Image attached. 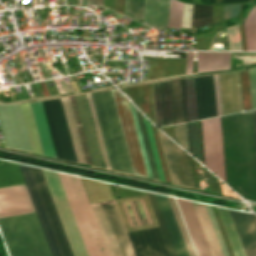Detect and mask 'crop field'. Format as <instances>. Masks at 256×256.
Returning <instances> with one entry per match:
<instances>
[{
  "label": "crop field",
  "mask_w": 256,
  "mask_h": 256,
  "mask_svg": "<svg viewBox=\"0 0 256 256\" xmlns=\"http://www.w3.org/2000/svg\"><path fill=\"white\" fill-rule=\"evenodd\" d=\"M135 113H136V116H137L138 124H139L140 131H141V134H142V138H143V142H144L145 149H146V152H147L150 167H151V170H152L153 178L159 180L158 175H157V171H156V167H155V163H154V159H153V156H152L149 140H148V137H147L143 117L136 109H135Z\"/></svg>",
  "instance_id": "obj_33"
},
{
  "label": "crop field",
  "mask_w": 256,
  "mask_h": 256,
  "mask_svg": "<svg viewBox=\"0 0 256 256\" xmlns=\"http://www.w3.org/2000/svg\"><path fill=\"white\" fill-rule=\"evenodd\" d=\"M85 95H86V98H87V101H88V104H89V107H90V110H91L95 130H96V134H97V139H98V143H99V147H100V151H101V155H102V159H103V163H104V167L108 168V169H111L110 164H109V160H108V157H107L106 149H105V146H104L103 138H102V135H101L100 127H99V124H98L97 116H96V113H95L94 105H93V102H92L91 94L87 93Z\"/></svg>",
  "instance_id": "obj_30"
},
{
  "label": "crop field",
  "mask_w": 256,
  "mask_h": 256,
  "mask_svg": "<svg viewBox=\"0 0 256 256\" xmlns=\"http://www.w3.org/2000/svg\"><path fill=\"white\" fill-rule=\"evenodd\" d=\"M209 245L212 256H223L210 218L204 204L192 202Z\"/></svg>",
  "instance_id": "obj_21"
},
{
  "label": "crop field",
  "mask_w": 256,
  "mask_h": 256,
  "mask_svg": "<svg viewBox=\"0 0 256 256\" xmlns=\"http://www.w3.org/2000/svg\"><path fill=\"white\" fill-rule=\"evenodd\" d=\"M212 6L194 5L192 27L211 23Z\"/></svg>",
  "instance_id": "obj_31"
},
{
  "label": "crop field",
  "mask_w": 256,
  "mask_h": 256,
  "mask_svg": "<svg viewBox=\"0 0 256 256\" xmlns=\"http://www.w3.org/2000/svg\"><path fill=\"white\" fill-rule=\"evenodd\" d=\"M122 204H123V207H124V209H125V212H126V215H127L128 221H129V223H130V226L132 227L133 225H132V222H131V220H130L129 214H128V212H127L126 206H125V204H124V203H122Z\"/></svg>",
  "instance_id": "obj_47"
},
{
  "label": "crop field",
  "mask_w": 256,
  "mask_h": 256,
  "mask_svg": "<svg viewBox=\"0 0 256 256\" xmlns=\"http://www.w3.org/2000/svg\"><path fill=\"white\" fill-rule=\"evenodd\" d=\"M129 203H130V205H131V208H132V210H133V213H134V215H135V218H136V220H137V223H138V225L140 226L139 221H138L137 216H136V213H135V211H134L133 205H132L131 202H129Z\"/></svg>",
  "instance_id": "obj_50"
},
{
  "label": "crop field",
  "mask_w": 256,
  "mask_h": 256,
  "mask_svg": "<svg viewBox=\"0 0 256 256\" xmlns=\"http://www.w3.org/2000/svg\"><path fill=\"white\" fill-rule=\"evenodd\" d=\"M42 102L57 158L77 162L60 98Z\"/></svg>",
  "instance_id": "obj_7"
},
{
  "label": "crop field",
  "mask_w": 256,
  "mask_h": 256,
  "mask_svg": "<svg viewBox=\"0 0 256 256\" xmlns=\"http://www.w3.org/2000/svg\"><path fill=\"white\" fill-rule=\"evenodd\" d=\"M35 212L25 184L0 188V217Z\"/></svg>",
  "instance_id": "obj_11"
},
{
  "label": "crop field",
  "mask_w": 256,
  "mask_h": 256,
  "mask_svg": "<svg viewBox=\"0 0 256 256\" xmlns=\"http://www.w3.org/2000/svg\"><path fill=\"white\" fill-rule=\"evenodd\" d=\"M103 0H86V5H102Z\"/></svg>",
  "instance_id": "obj_46"
},
{
  "label": "crop field",
  "mask_w": 256,
  "mask_h": 256,
  "mask_svg": "<svg viewBox=\"0 0 256 256\" xmlns=\"http://www.w3.org/2000/svg\"><path fill=\"white\" fill-rule=\"evenodd\" d=\"M148 195L161 229L128 234L136 256H188L167 198Z\"/></svg>",
  "instance_id": "obj_2"
},
{
  "label": "crop field",
  "mask_w": 256,
  "mask_h": 256,
  "mask_svg": "<svg viewBox=\"0 0 256 256\" xmlns=\"http://www.w3.org/2000/svg\"><path fill=\"white\" fill-rule=\"evenodd\" d=\"M230 53L222 52L221 70L229 69Z\"/></svg>",
  "instance_id": "obj_43"
},
{
  "label": "crop field",
  "mask_w": 256,
  "mask_h": 256,
  "mask_svg": "<svg viewBox=\"0 0 256 256\" xmlns=\"http://www.w3.org/2000/svg\"><path fill=\"white\" fill-rule=\"evenodd\" d=\"M11 256H51L36 213L0 218Z\"/></svg>",
  "instance_id": "obj_5"
},
{
  "label": "crop field",
  "mask_w": 256,
  "mask_h": 256,
  "mask_svg": "<svg viewBox=\"0 0 256 256\" xmlns=\"http://www.w3.org/2000/svg\"><path fill=\"white\" fill-rule=\"evenodd\" d=\"M110 256H135L114 200L91 204Z\"/></svg>",
  "instance_id": "obj_6"
},
{
  "label": "crop field",
  "mask_w": 256,
  "mask_h": 256,
  "mask_svg": "<svg viewBox=\"0 0 256 256\" xmlns=\"http://www.w3.org/2000/svg\"><path fill=\"white\" fill-rule=\"evenodd\" d=\"M189 153L202 162L198 121L187 123Z\"/></svg>",
  "instance_id": "obj_28"
},
{
  "label": "crop field",
  "mask_w": 256,
  "mask_h": 256,
  "mask_svg": "<svg viewBox=\"0 0 256 256\" xmlns=\"http://www.w3.org/2000/svg\"><path fill=\"white\" fill-rule=\"evenodd\" d=\"M42 170L73 255L109 256L80 178L57 172L88 255L76 227L57 173L49 170Z\"/></svg>",
  "instance_id": "obj_1"
},
{
  "label": "crop field",
  "mask_w": 256,
  "mask_h": 256,
  "mask_svg": "<svg viewBox=\"0 0 256 256\" xmlns=\"http://www.w3.org/2000/svg\"><path fill=\"white\" fill-rule=\"evenodd\" d=\"M248 50H256V6L244 22Z\"/></svg>",
  "instance_id": "obj_29"
},
{
  "label": "crop field",
  "mask_w": 256,
  "mask_h": 256,
  "mask_svg": "<svg viewBox=\"0 0 256 256\" xmlns=\"http://www.w3.org/2000/svg\"><path fill=\"white\" fill-rule=\"evenodd\" d=\"M156 125L173 123L169 80L153 83Z\"/></svg>",
  "instance_id": "obj_16"
},
{
  "label": "crop field",
  "mask_w": 256,
  "mask_h": 256,
  "mask_svg": "<svg viewBox=\"0 0 256 256\" xmlns=\"http://www.w3.org/2000/svg\"><path fill=\"white\" fill-rule=\"evenodd\" d=\"M137 202H138V205H139V207H140L141 213H142V215H143L144 221H145L146 224H148L147 221H146V218H145V216H144V213H143V211H142V208H141V206H140V203H139L138 200H137Z\"/></svg>",
  "instance_id": "obj_48"
},
{
  "label": "crop field",
  "mask_w": 256,
  "mask_h": 256,
  "mask_svg": "<svg viewBox=\"0 0 256 256\" xmlns=\"http://www.w3.org/2000/svg\"><path fill=\"white\" fill-rule=\"evenodd\" d=\"M170 0H146L144 23L153 27H168Z\"/></svg>",
  "instance_id": "obj_18"
},
{
  "label": "crop field",
  "mask_w": 256,
  "mask_h": 256,
  "mask_svg": "<svg viewBox=\"0 0 256 256\" xmlns=\"http://www.w3.org/2000/svg\"><path fill=\"white\" fill-rule=\"evenodd\" d=\"M144 121H145L146 129H147L148 137H149V140H150L153 156H154V159H155L159 179L163 180V181H166L165 176H164V172H163V169H162V165H161V162H160L159 154H158V151H157L156 143H155V140H154V136H153V133H152L151 125L145 118H144Z\"/></svg>",
  "instance_id": "obj_35"
},
{
  "label": "crop field",
  "mask_w": 256,
  "mask_h": 256,
  "mask_svg": "<svg viewBox=\"0 0 256 256\" xmlns=\"http://www.w3.org/2000/svg\"><path fill=\"white\" fill-rule=\"evenodd\" d=\"M145 0H126L125 15L143 23Z\"/></svg>",
  "instance_id": "obj_32"
},
{
  "label": "crop field",
  "mask_w": 256,
  "mask_h": 256,
  "mask_svg": "<svg viewBox=\"0 0 256 256\" xmlns=\"http://www.w3.org/2000/svg\"><path fill=\"white\" fill-rule=\"evenodd\" d=\"M18 165L28 187L52 255L72 256L41 170L25 165ZM37 206L45 226L42 223Z\"/></svg>",
  "instance_id": "obj_3"
},
{
  "label": "crop field",
  "mask_w": 256,
  "mask_h": 256,
  "mask_svg": "<svg viewBox=\"0 0 256 256\" xmlns=\"http://www.w3.org/2000/svg\"><path fill=\"white\" fill-rule=\"evenodd\" d=\"M81 5H85V0H81Z\"/></svg>",
  "instance_id": "obj_53"
},
{
  "label": "crop field",
  "mask_w": 256,
  "mask_h": 256,
  "mask_svg": "<svg viewBox=\"0 0 256 256\" xmlns=\"http://www.w3.org/2000/svg\"><path fill=\"white\" fill-rule=\"evenodd\" d=\"M246 256H256V216L229 210Z\"/></svg>",
  "instance_id": "obj_14"
},
{
  "label": "crop field",
  "mask_w": 256,
  "mask_h": 256,
  "mask_svg": "<svg viewBox=\"0 0 256 256\" xmlns=\"http://www.w3.org/2000/svg\"><path fill=\"white\" fill-rule=\"evenodd\" d=\"M193 52H188L186 74L192 73Z\"/></svg>",
  "instance_id": "obj_44"
},
{
  "label": "crop field",
  "mask_w": 256,
  "mask_h": 256,
  "mask_svg": "<svg viewBox=\"0 0 256 256\" xmlns=\"http://www.w3.org/2000/svg\"><path fill=\"white\" fill-rule=\"evenodd\" d=\"M187 248L189 256H195L173 198L167 197Z\"/></svg>",
  "instance_id": "obj_34"
},
{
  "label": "crop field",
  "mask_w": 256,
  "mask_h": 256,
  "mask_svg": "<svg viewBox=\"0 0 256 256\" xmlns=\"http://www.w3.org/2000/svg\"><path fill=\"white\" fill-rule=\"evenodd\" d=\"M134 202V204H135V207H136V209H137V212H138V214H139V217H140V219H141V216H140V213H139V210H138V207H137V205H136V202L135 201H133ZM141 222H142V224H143V221H142V219H141ZM144 225V224H143Z\"/></svg>",
  "instance_id": "obj_51"
},
{
  "label": "crop field",
  "mask_w": 256,
  "mask_h": 256,
  "mask_svg": "<svg viewBox=\"0 0 256 256\" xmlns=\"http://www.w3.org/2000/svg\"><path fill=\"white\" fill-rule=\"evenodd\" d=\"M176 141L188 151L186 123L174 125Z\"/></svg>",
  "instance_id": "obj_37"
},
{
  "label": "crop field",
  "mask_w": 256,
  "mask_h": 256,
  "mask_svg": "<svg viewBox=\"0 0 256 256\" xmlns=\"http://www.w3.org/2000/svg\"><path fill=\"white\" fill-rule=\"evenodd\" d=\"M197 250L198 256H211L193 205L189 201L177 199Z\"/></svg>",
  "instance_id": "obj_17"
},
{
  "label": "crop field",
  "mask_w": 256,
  "mask_h": 256,
  "mask_svg": "<svg viewBox=\"0 0 256 256\" xmlns=\"http://www.w3.org/2000/svg\"><path fill=\"white\" fill-rule=\"evenodd\" d=\"M91 94L111 168L133 174L112 91L107 90Z\"/></svg>",
  "instance_id": "obj_4"
},
{
  "label": "crop field",
  "mask_w": 256,
  "mask_h": 256,
  "mask_svg": "<svg viewBox=\"0 0 256 256\" xmlns=\"http://www.w3.org/2000/svg\"><path fill=\"white\" fill-rule=\"evenodd\" d=\"M32 151L42 154L39 138L29 103L20 104ZM43 155V154H42Z\"/></svg>",
  "instance_id": "obj_24"
},
{
  "label": "crop field",
  "mask_w": 256,
  "mask_h": 256,
  "mask_svg": "<svg viewBox=\"0 0 256 256\" xmlns=\"http://www.w3.org/2000/svg\"><path fill=\"white\" fill-rule=\"evenodd\" d=\"M229 1H243V0H220V3L221 2H229Z\"/></svg>",
  "instance_id": "obj_52"
},
{
  "label": "crop field",
  "mask_w": 256,
  "mask_h": 256,
  "mask_svg": "<svg viewBox=\"0 0 256 256\" xmlns=\"http://www.w3.org/2000/svg\"><path fill=\"white\" fill-rule=\"evenodd\" d=\"M205 166L226 182L220 117L201 123Z\"/></svg>",
  "instance_id": "obj_9"
},
{
  "label": "crop field",
  "mask_w": 256,
  "mask_h": 256,
  "mask_svg": "<svg viewBox=\"0 0 256 256\" xmlns=\"http://www.w3.org/2000/svg\"><path fill=\"white\" fill-rule=\"evenodd\" d=\"M75 97H76L83 129L85 132L92 164L97 167H102L98 149H97V145H96V141H95V137H94V133H93V129H92V125H91V121H90V117H89V113H88L86 103H85L84 94L77 95Z\"/></svg>",
  "instance_id": "obj_19"
},
{
  "label": "crop field",
  "mask_w": 256,
  "mask_h": 256,
  "mask_svg": "<svg viewBox=\"0 0 256 256\" xmlns=\"http://www.w3.org/2000/svg\"><path fill=\"white\" fill-rule=\"evenodd\" d=\"M65 115L67 118L70 134L72 137L77 161L80 163L91 164L84 132L82 129L75 97H64L61 98Z\"/></svg>",
  "instance_id": "obj_10"
},
{
  "label": "crop field",
  "mask_w": 256,
  "mask_h": 256,
  "mask_svg": "<svg viewBox=\"0 0 256 256\" xmlns=\"http://www.w3.org/2000/svg\"><path fill=\"white\" fill-rule=\"evenodd\" d=\"M243 5L244 4L225 5L223 20L237 16Z\"/></svg>",
  "instance_id": "obj_41"
},
{
  "label": "crop field",
  "mask_w": 256,
  "mask_h": 256,
  "mask_svg": "<svg viewBox=\"0 0 256 256\" xmlns=\"http://www.w3.org/2000/svg\"><path fill=\"white\" fill-rule=\"evenodd\" d=\"M120 118L133 173L147 177L128 101L116 90H112ZM148 178V177H147Z\"/></svg>",
  "instance_id": "obj_8"
},
{
  "label": "crop field",
  "mask_w": 256,
  "mask_h": 256,
  "mask_svg": "<svg viewBox=\"0 0 256 256\" xmlns=\"http://www.w3.org/2000/svg\"><path fill=\"white\" fill-rule=\"evenodd\" d=\"M252 116H253L254 140H255V151H256V110L252 111Z\"/></svg>",
  "instance_id": "obj_45"
},
{
  "label": "crop field",
  "mask_w": 256,
  "mask_h": 256,
  "mask_svg": "<svg viewBox=\"0 0 256 256\" xmlns=\"http://www.w3.org/2000/svg\"><path fill=\"white\" fill-rule=\"evenodd\" d=\"M174 123L186 121L182 79L170 80Z\"/></svg>",
  "instance_id": "obj_22"
},
{
  "label": "crop field",
  "mask_w": 256,
  "mask_h": 256,
  "mask_svg": "<svg viewBox=\"0 0 256 256\" xmlns=\"http://www.w3.org/2000/svg\"><path fill=\"white\" fill-rule=\"evenodd\" d=\"M218 211L220 213L221 219L223 221L224 227L226 229V232L229 237L235 256H245V253L243 251L242 245L240 243L239 237L237 235V232L234 227L229 211L222 208H218Z\"/></svg>",
  "instance_id": "obj_26"
},
{
  "label": "crop field",
  "mask_w": 256,
  "mask_h": 256,
  "mask_svg": "<svg viewBox=\"0 0 256 256\" xmlns=\"http://www.w3.org/2000/svg\"><path fill=\"white\" fill-rule=\"evenodd\" d=\"M183 3L171 0L169 27H181Z\"/></svg>",
  "instance_id": "obj_36"
},
{
  "label": "crop field",
  "mask_w": 256,
  "mask_h": 256,
  "mask_svg": "<svg viewBox=\"0 0 256 256\" xmlns=\"http://www.w3.org/2000/svg\"><path fill=\"white\" fill-rule=\"evenodd\" d=\"M252 109L256 108V69L249 70Z\"/></svg>",
  "instance_id": "obj_39"
},
{
  "label": "crop field",
  "mask_w": 256,
  "mask_h": 256,
  "mask_svg": "<svg viewBox=\"0 0 256 256\" xmlns=\"http://www.w3.org/2000/svg\"><path fill=\"white\" fill-rule=\"evenodd\" d=\"M199 119L216 116L213 75L195 77Z\"/></svg>",
  "instance_id": "obj_15"
},
{
  "label": "crop field",
  "mask_w": 256,
  "mask_h": 256,
  "mask_svg": "<svg viewBox=\"0 0 256 256\" xmlns=\"http://www.w3.org/2000/svg\"><path fill=\"white\" fill-rule=\"evenodd\" d=\"M30 104H31L34 120L36 123L38 135L40 138L43 154L46 156L56 158L54 149H53V145H52V141H51V137H50V133L48 130L42 102L39 101V102H35V103H30Z\"/></svg>",
  "instance_id": "obj_20"
},
{
  "label": "crop field",
  "mask_w": 256,
  "mask_h": 256,
  "mask_svg": "<svg viewBox=\"0 0 256 256\" xmlns=\"http://www.w3.org/2000/svg\"><path fill=\"white\" fill-rule=\"evenodd\" d=\"M193 5L184 3L182 27L191 28Z\"/></svg>",
  "instance_id": "obj_40"
},
{
  "label": "crop field",
  "mask_w": 256,
  "mask_h": 256,
  "mask_svg": "<svg viewBox=\"0 0 256 256\" xmlns=\"http://www.w3.org/2000/svg\"><path fill=\"white\" fill-rule=\"evenodd\" d=\"M187 121L198 119L194 77L183 79Z\"/></svg>",
  "instance_id": "obj_25"
},
{
  "label": "crop field",
  "mask_w": 256,
  "mask_h": 256,
  "mask_svg": "<svg viewBox=\"0 0 256 256\" xmlns=\"http://www.w3.org/2000/svg\"><path fill=\"white\" fill-rule=\"evenodd\" d=\"M0 164V187L23 184L18 165L13 162L2 161Z\"/></svg>",
  "instance_id": "obj_23"
},
{
  "label": "crop field",
  "mask_w": 256,
  "mask_h": 256,
  "mask_svg": "<svg viewBox=\"0 0 256 256\" xmlns=\"http://www.w3.org/2000/svg\"><path fill=\"white\" fill-rule=\"evenodd\" d=\"M160 136L167 158L172 181L174 183L194 187L185 152H183L180 147H178L162 133H160Z\"/></svg>",
  "instance_id": "obj_12"
},
{
  "label": "crop field",
  "mask_w": 256,
  "mask_h": 256,
  "mask_svg": "<svg viewBox=\"0 0 256 256\" xmlns=\"http://www.w3.org/2000/svg\"><path fill=\"white\" fill-rule=\"evenodd\" d=\"M219 80V79H218ZM217 75H214L217 116L221 115Z\"/></svg>",
  "instance_id": "obj_42"
},
{
  "label": "crop field",
  "mask_w": 256,
  "mask_h": 256,
  "mask_svg": "<svg viewBox=\"0 0 256 256\" xmlns=\"http://www.w3.org/2000/svg\"><path fill=\"white\" fill-rule=\"evenodd\" d=\"M197 73L220 70L221 53L197 52Z\"/></svg>",
  "instance_id": "obj_27"
},
{
  "label": "crop field",
  "mask_w": 256,
  "mask_h": 256,
  "mask_svg": "<svg viewBox=\"0 0 256 256\" xmlns=\"http://www.w3.org/2000/svg\"><path fill=\"white\" fill-rule=\"evenodd\" d=\"M223 115L242 111L238 72L219 74Z\"/></svg>",
  "instance_id": "obj_13"
},
{
  "label": "crop field",
  "mask_w": 256,
  "mask_h": 256,
  "mask_svg": "<svg viewBox=\"0 0 256 256\" xmlns=\"http://www.w3.org/2000/svg\"><path fill=\"white\" fill-rule=\"evenodd\" d=\"M126 204H127L128 209H129L130 215H131V217H132L133 223H134L135 226H137L136 223H135V220H134V218H133V215H132V213H131V210H130V208H129V205H128L127 202H126Z\"/></svg>",
  "instance_id": "obj_49"
},
{
  "label": "crop field",
  "mask_w": 256,
  "mask_h": 256,
  "mask_svg": "<svg viewBox=\"0 0 256 256\" xmlns=\"http://www.w3.org/2000/svg\"><path fill=\"white\" fill-rule=\"evenodd\" d=\"M130 107H131V111H132L135 127H136V130H137V134H138L141 150H142V153H143V157H144V161H145L148 177L153 179L151 171H150L149 163H148V160H147V156H146V153H145L144 145H143V142H142V138H141V135H140L139 127H138V124H137V120H136V117H135L134 109H133L131 104H130Z\"/></svg>",
  "instance_id": "obj_38"
}]
</instances>
